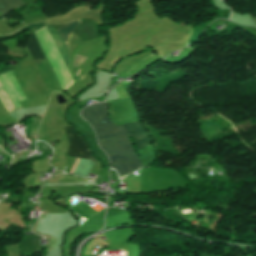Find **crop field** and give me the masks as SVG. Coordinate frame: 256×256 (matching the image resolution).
Listing matches in <instances>:
<instances>
[{"label": "crop field", "mask_w": 256, "mask_h": 256, "mask_svg": "<svg viewBox=\"0 0 256 256\" xmlns=\"http://www.w3.org/2000/svg\"><path fill=\"white\" fill-rule=\"evenodd\" d=\"M82 116L94 127L99 137L100 146L107 152L111 165L119 175L133 171L142 166L133 145L126 135H131L140 149L150 143L142 125L137 122L124 126L113 125L108 119V103L96 104L82 111Z\"/></svg>", "instance_id": "1"}, {"label": "crop field", "mask_w": 256, "mask_h": 256, "mask_svg": "<svg viewBox=\"0 0 256 256\" xmlns=\"http://www.w3.org/2000/svg\"><path fill=\"white\" fill-rule=\"evenodd\" d=\"M64 130L69 139V149H68L67 156L87 158L88 153L84 145L76 136V134L73 132V130L70 128V126L65 127Z\"/></svg>", "instance_id": "2"}, {"label": "crop field", "mask_w": 256, "mask_h": 256, "mask_svg": "<svg viewBox=\"0 0 256 256\" xmlns=\"http://www.w3.org/2000/svg\"><path fill=\"white\" fill-rule=\"evenodd\" d=\"M42 24H44V23H36V24L28 25V26L22 28L21 30L17 31L16 33L12 34V36L17 34V33H19V32H21V31H23V30H29V29H32V28H36V27H38V26H40ZM78 24H79V22H71L69 24H64V25H50V26L53 27L56 30V32L60 35L61 39L63 40V42L66 45L69 37L71 36L72 30Z\"/></svg>", "instance_id": "3"}, {"label": "crop field", "mask_w": 256, "mask_h": 256, "mask_svg": "<svg viewBox=\"0 0 256 256\" xmlns=\"http://www.w3.org/2000/svg\"><path fill=\"white\" fill-rule=\"evenodd\" d=\"M46 26L48 27V29H49V31H50V33H51V35H52V37H53V39H54V41H55V43H56V45H57V47H58L60 53H61V55H62V57H63V59H64L66 65H67V61H68V51H67V49H66L64 43H63L62 40L60 39L59 35H58L51 27H49L48 25L45 24V25H43V26H41V27L35 29V30L32 31V32H33V34H34V36H35V38H36V40H37V42H38V44H39V46H40V48H41V50H42V52H43V54H44V56H45V58H46V60H47V62H48V64H49V66H50V68H51V70H52V72H53V74H54V76H55V78H56V80H57V82H58L60 88H61V90L63 91V89H62V87H61V85H60V83H59V81H58V79H57V77H56V75H55V73H54V71H53V69H52V67H51V65H50V63H49V61H48V59H47V57H46V55H45V53H44V51H43L41 45H40V43H39V41H38V39H37V37H36V35H35V33H34V32H36V31H38V30H40V29H42V28H44V27H46Z\"/></svg>", "instance_id": "4"}, {"label": "crop field", "mask_w": 256, "mask_h": 256, "mask_svg": "<svg viewBox=\"0 0 256 256\" xmlns=\"http://www.w3.org/2000/svg\"><path fill=\"white\" fill-rule=\"evenodd\" d=\"M76 159L77 158H74V160H73V164H72L70 174L73 173V169H74V166H75V163H76ZM94 162H95L94 160L77 159V163H76L73 174L87 177V175L89 174Z\"/></svg>", "instance_id": "5"}, {"label": "crop field", "mask_w": 256, "mask_h": 256, "mask_svg": "<svg viewBox=\"0 0 256 256\" xmlns=\"http://www.w3.org/2000/svg\"><path fill=\"white\" fill-rule=\"evenodd\" d=\"M24 5L20 0H0V14L3 15L6 12Z\"/></svg>", "instance_id": "6"}, {"label": "crop field", "mask_w": 256, "mask_h": 256, "mask_svg": "<svg viewBox=\"0 0 256 256\" xmlns=\"http://www.w3.org/2000/svg\"><path fill=\"white\" fill-rule=\"evenodd\" d=\"M37 45L38 44H37L32 32H31V34H30V43L27 45V47L29 48V47H33V46H37Z\"/></svg>", "instance_id": "7"}, {"label": "crop field", "mask_w": 256, "mask_h": 256, "mask_svg": "<svg viewBox=\"0 0 256 256\" xmlns=\"http://www.w3.org/2000/svg\"><path fill=\"white\" fill-rule=\"evenodd\" d=\"M253 22H254V20L256 21V18H254V20L253 19H251ZM255 23V22H254ZM256 24V23H255Z\"/></svg>", "instance_id": "8"}, {"label": "crop field", "mask_w": 256, "mask_h": 256, "mask_svg": "<svg viewBox=\"0 0 256 256\" xmlns=\"http://www.w3.org/2000/svg\"><path fill=\"white\" fill-rule=\"evenodd\" d=\"M76 80V79H75ZM75 82V81H74Z\"/></svg>", "instance_id": "9"}]
</instances>
